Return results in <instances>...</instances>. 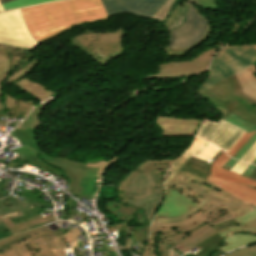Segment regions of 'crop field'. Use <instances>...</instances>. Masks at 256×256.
Instances as JSON below:
<instances>
[{
    "instance_id": "obj_1",
    "label": "crop field",
    "mask_w": 256,
    "mask_h": 256,
    "mask_svg": "<svg viewBox=\"0 0 256 256\" xmlns=\"http://www.w3.org/2000/svg\"><path fill=\"white\" fill-rule=\"evenodd\" d=\"M19 10L29 31L39 42L76 25L107 19L100 0H64Z\"/></svg>"
},
{
    "instance_id": "obj_2",
    "label": "crop field",
    "mask_w": 256,
    "mask_h": 256,
    "mask_svg": "<svg viewBox=\"0 0 256 256\" xmlns=\"http://www.w3.org/2000/svg\"><path fill=\"white\" fill-rule=\"evenodd\" d=\"M80 235L74 229L57 237L43 226L0 241V256H66L62 249L72 246Z\"/></svg>"
},
{
    "instance_id": "obj_3",
    "label": "crop field",
    "mask_w": 256,
    "mask_h": 256,
    "mask_svg": "<svg viewBox=\"0 0 256 256\" xmlns=\"http://www.w3.org/2000/svg\"><path fill=\"white\" fill-rule=\"evenodd\" d=\"M241 90L242 88L234 75L223 79L199 96L207 97L223 116L232 112L243 120L256 125V104L241 95L238 92Z\"/></svg>"
},
{
    "instance_id": "obj_4",
    "label": "crop field",
    "mask_w": 256,
    "mask_h": 256,
    "mask_svg": "<svg viewBox=\"0 0 256 256\" xmlns=\"http://www.w3.org/2000/svg\"><path fill=\"white\" fill-rule=\"evenodd\" d=\"M256 61V45L225 47L215 55L205 82L197 92L201 94L225 77L234 75Z\"/></svg>"
},
{
    "instance_id": "obj_5",
    "label": "crop field",
    "mask_w": 256,
    "mask_h": 256,
    "mask_svg": "<svg viewBox=\"0 0 256 256\" xmlns=\"http://www.w3.org/2000/svg\"><path fill=\"white\" fill-rule=\"evenodd\" d=\"M234 218L237 226L219 231L221 237L237 232H248L256 230V207L248 205L236 213H232L214 222L207 223L187 235L172 238V242L181 253L191 250L196 244L213 235L215 230L211 225Z\"/></svg>"
},
{
    "instance_id": "obj_6",
    "label": "crop field",
    "mask_w": 256,
    "mask_h": 256,
    "mask_svg": "<svg viewBox=\"0 0 256 256\" xmlns=\"http://www.w3.org/2000/svg\"><path fill=\"white\" fill-rule=\"evenodd\" d=\"M123 29L110 33H95L89 29L68 40L78 51L103 66L109 59L125 53L122 47Z\"/></svg>"
},
{
    "instance_id": "obj_7",
    "label": "crop field",
    "mask_w": 256,
    "mask_h": 256,
    "mask_svg": "<svg viewBox=\"0 0 256 256\" xmlns=\"http://www.w3.org/2000/svg\"><path fill=\"white\" fill-rule=\"evenodd\" d=\"M163 175L137 174L129 184L125 196V204L144 208L146 219L151 223L152 217L164 197Z\"/></svg>"
},
{
    "instance_id": "obj_8",
    "label": "crop field",
    "mask_w": 256,
    "mask_h": 256,
    "mask_svg": "<svg viewBox=\"0 0 256 256\" xmlns=\"http://www.w3.org/2000/svg\"><path fill=\"white\" fill-rule=\"evenodd\" d=\"M207 185L215 188L219 192L215 195L197 187L196 185L185 182L181 179H177L176 183L173 184L176 188H178L183 193L187 194L191 198L201 201L203 198H206L210 200L202 209L197 211L193 216L188 217V220L176 223V224H155L153 223L152 227H170V226H178V225H184L189 224L192 222H195L204 216L208 215L210 212H212L216 207L219 205L222 207L227 208V210L232 213L240 210L242 207L248 205L244 204L243 202L239 201L238 199L228 195L224 191L220 190L213 184L209 183L208 181H204Z\"/></svg>"
},
{
    "instance_id": "obj_9",
    "label": "crop field",
    "mask_w": 256,
    "mask_h": 256,
    "mask_svg": "<svg viewBox=\"0 0 256 256\" xmlns=\"http://www.w3.org/2000/svg\"><path fill=\"white\" fill-rule=\"evenodd\" d=\"M230 158L223 152L213 163L206 180L241 201L256 205V181L221 168Z\"/></svg>"
},
{
    "instance_id": "obj_10",
    "label": "crop field",
    "mask_w": 256,
    "mask_h": 256,
    "mask_svg": "<svg viewBox=\"0 0 256 256\" xmlns=\"http://www.w3.org/2000/svg\"><path fill=\"white\" fill-rule=\"evenodd\" d=\"M208 30V22L200 17L197 10L188 4L183 24L170 31L171 42L167 47L171 49H185L198 43Z\"/></svg>"
},
{
    "instance_id": "obj_11",
    "label": "crop field",
    "mask_w": 256,
    "mask_h": 256,
    "mask_svg": "<svg viewBox=\"0 0 256 256\" xmlns=\"http://www.w3.org/2000/svg\"><path fill=\"white\" fill-rule=\"evenodd\" d=\"M0 44L33 49L39 43L31 38L18 10L0 14Z\"/></svg>"
},
{
    "instance_id": "obj_12",
    "label": "crop field",
    "mask_w": 256,
    "mask_h": 256,
    "mask_svg": "<svg viewBox=\"0 0 256 256\" xmlns=\"http://www.w3.org/2000/svg\"><path fill=\"white\" fill-rule=\"evenodd\" d=\"M217 50L218 48L210 47L189 61L156 65L159 72L146 76V78L185 77L200 74L206 70L213 54Z\"/></svg>"
},
{
    "instance_id": "obj_13",
    "label": "crop field",
    "mask_w": 256,
    "mask_h": 256,
    "mask_svg": "<svg viewBox=\"0 0 256 256\" xmlns=\"http://www.w3.org/2000/svg\"><path fill=\"white\" fill-rule=\"evenodd\" d=\"M227 214H229V212L225 208H222L219 206L208 216L189 225L171 227V228H152L151 231L160 232L159 239L157 242L158 256H178L179 254L174 251L173 249L174 247L170 238L179 236L182 234H186L207 222L214 221Z\"/></svg>"
},
{
    "instance_id": "obj_14",
    "label": "crop field",
    "mask_w": 256,
    "mask_h": 256,
    "mask_svg": "<svg viewBox=\"0 0 256 256\" xmlns=\"http://www.w3.org/2000/svg\"><path fill=\"white\" fill-rule=\"evenodd\" d=\"M167 1L168 0H101L108 16L129 13L148 19Z\"/></svg>"
},
{
    "instance_id": "obj_15",
    "label": "crop field",
    "mask_w": 256,
    "mask_h": 256,
    "mask_svg": "<svg viewBox=\"0 0 256 256\" xmlns=\"http://www.w3.org/2000/svg\"><path fill=\"white\" fill-rule=\"evenodd\" d=\"M244 133L245 131L222 120L218 123L205 120L196 137L213 142L222 147L226 152Z\"/></svg>"
},
{
    "instance_id": "obj_16",
    "label": "crop field",
    "mask_w": 256,
    "mask_h": 256,
    "mask_svg": "<svg viewBox=\"0 0 256 256\" xmlns=\"http://www.w3.org/2000/svg\"><path fill=\"white\" fill-rule=\"evenodd\" d=\"M37 60L38 59L33 57L31 53H28V55L24 57L19 65L12 71L15 74H13L12 76H8L3 81L19 87L24 92L30 94L41 102L42 100L53 94V92L37 82L34 83L24 78L26 72L34 67Z\"/></svg>"
},
{
    "instance_id": "obj_17",
    "label": "crop field",
    "mask_w": 256,
    "mask_h": 256,
    "mask_svg": "<svg viewBox=\"0 0 256 256\" xmlns=\"http://www.w3.org/2000/svg\"><path fill=\"white\" fill-rule=\"evenodd\" d=\"M40 157L44 162L60 169L64 173L67 180L71 183L69 192L74 195L77 193L80 194L81 192V188L77 187L78 181L82 177L95 176L98 169L86 167V163L75 162L70 159L54 158L44 153Z\"/></svg>"
},
{
    "instance_id": "obj_18",
    "label": "crop field",
    "mask_w": 256,
    "mask_h": 256,
    "mask_svg": "<svg viewBox=\"0 0 256 256\" xmlns=\"http://www.w3.org/2000/svg\"><path fill=\"white\" fill-rule=\"evenodd\" d=\"M202 120L176 119L157 117L156 124L162 131V136L176 137L191 135L194 136Z\"/></svg>"
},
{
    "instance_id": "obj_19",
    "label": "crop field",
    "mask_w": 256,
    "mask_h": 256,
    "mask_svg": "<svg viewBox=\"0 0 256 256\" xmlns=\"http://www.w3.org/2000/svg\"><path fill=\"white\" fill-rule=\"evenodd\" d=\"M174 160L170 159H163V160H146L142 162L140 165L136 166L135 170L129 172L126 177L122 180L120 187L118 189V200L119 202L123 203L126 200V197H124L125 190L127 188V185L131 181V179L138 173V172H144V173H160L164 174L165 170L169 167V165Z\"/></svg>"
},
{
    "instance_id": "obj_20",
    "label": "crop field",
    "mask_w": 256,
    "mask_h": 256,
    "mask_svg": "<svg viewBox=\"0 0 256 256\" xmlns=\"http://www.w3.org/2000/svg\"><path fill=\"white\" fill-rule=\"evenodd\" d=\"M196 205L171 189L166 190L165 200L157 212L158 217H172L183 214Z\"/></svg>"
},
{
    "instance_id": "obj_21",
    "label": "crop field",
    "mask_w": 256,
    "mask_h": 256,
    "mask_svg": "<svg viewBox=\"0 0 256 256\" xmlns=\"http://www.w3.org/2000/svg\"><path fill=\"white\" fill-rule=\"evenodd\" d=\"M236 225V222L234 219L225 221L216 225H213V227L216 229V231L222 230L226 227L234 226ZM226 245L225 241L221 239L218 233L214 234L210 238L206 239L202 243L196 245L199 248H201V252L197 255L195 254H188L184 256H221L225 254L222 252L219 248Z\"/></svg>"
},
{
    "instance_id": "obj_22",
    "label": "crop field",
    "mask_w": 256,
    "mask_h": 256,
    "mask_svg": "<svg viewBox=\"0 0 256 256\" xmlns=\"http://www.w3.org/2000/svg\"><path fill=\"white\" fill-rule=\"evenodd\" d=\"M11 151H13L15 154L18 155L17 156L18 159L13 161L14 166L23 167L24 164H30V165L39 167L43 170H46V171H48L52 174L60 175V176L65 177L63 175V173L61 171H59L58 169H56V168H54L50 165L45 164L41 160V158L38 156V154L30 148L22 146L20 148L13 149Z\"/></svg>"
},
{
    "instance_id": "obj_23",
    "label": "crop field",
    "mask_w": 256,
    "mask_h": 256,
    "mask_svg": "<svg viewBox=\"0 0 256 256\" xmlns=\"http://www.w3.org/2000/svg\"><path fill=\"white\" fill-rule=\"evenodd\" d=\"M31 207L33 206L10 196L0 200V239L11 235L10 231L6 228L1 219L16 215V213L25 211Z\"/></svg>"
},
{
    "instance_id": "obj_24",
    "label": "crop field",
    "mask_w": 256,
    "mask_h": 256,
    "mask_svg": "<svg viewBox=\"0 0 256 256\" xmlns=\"http://www.w3.org/2000/svg\"><path fill=\"white\" fill-rule=\"evenodd\" d=\"M106 210H108L110 213L116 216L118 220H123L120 224H113L111 225V228H113L115 231L121 228L122 226H127V223L136 217L132 216L136 210V208L129 207L120 203H117L115 201L109 202L106 205Z\"/></svg>"
},
{
    "instance_id": "obj_25",
    "label": "crop field",
    "mask_w": 256,
    "mask_h": 256,
    "mask_svg": "<svg viewBox=\"0 0 256 256\" xmlns=\"http://www.w3.org/2000/svg\"><path fill=\"white\" fill-rule=\"evenodd\" d=\"M186 150L192 152V156L208 162L220 148L207 141L195 138Z\"/></svg>"
},
{
    "instance_id": "obj_26",
    "label": "crop field",
    "mask_w": 256,
    "mask_h": 256,
    "mask_svg": "<svg viewBox=\"0 0 256 256\" xmlns=\"http://www.w3.org/2000/svg\"><path fill=\"white\" fill-rule=\"evenodd\" d=\"M223 120L239 127L242 128L248 132H252L253 130L256 131V126L253 124H250L248 122H245L243 120H241L240 118H238L237 116H235L234 114H229L227 116H225L224 118H222ZM256 141V134L250 138L243 146L242 148L233 156V158H237V159H241L242 156L248 151V149L255 143ZM253 164H256V159L252 162Z\"/></svg>"
},
{
    "instance_id": "obj_27",
    "label": "crop field",
    "mask_w": 256,
    "mask_h": 256,
    "mask_svg": "<svg viewBox=\"0 0 256 256\" xmlns=\"http://www.w3.org/2000/svg\"><path fill=\"white\" fill-rule=\"evenodd\" d=\"M223 151H219L211 160L210 163H206L203 161H200L192 156L185 162V164L181 167V171L189 172L192 174H195L197 176L203 177L206 179V177L209 174V169L211 163L222 153Z\"/></svg>"
},
{
    "instance_id": "obj_28",
    "label": "crop field",
    "mask_w": 256,
    "mask_h": 256,
    "mask_svg": "<svg viewBox=\"0 0 256 256\" xmlns=\"http://www.w3.org/2000/svg\"><path fill=\"white\" fill-rule=\"evenodd\" d=\"M149 229L150 225H140L131 228L122 227L118 230V235H126V245L128 248L131 245L130 240L132 242L139 241L140 246H142L147 237Z\"/></svg>"
},
{
    "instance_id": "obj_29",
    "label": "crop field",
    "mask_w": 256,
    "mask_h": 256,
    "mask_svg": "<svg viewBox=\"0 0 256 256\" xmlns=\"http://www.w3.org/2000/svg\"><path fill=\"white\" fill-rule=\"evenodd\" d=\"M223 239L226 241L228 245L221 248V250L227 253L236 248L243 247L256 242V235L250 233H237L235 235L223 237Z\"/></svg>"
},
{
    "instance_id": "obj_30",
    "label": "crop field",
    "mask_w": 256,
    "mask_h": 256,
    "mask_svg": "<svg viewBox=\"0 0 256 256\" xmlns=\"http://www.w3.org/2000/svg\"><path fill=\"white\" fill-rule=\"evenodd\" d=\"M8 118H15L18 114L26 117L34 105L29 101L27 103L15 100L10 96L4 94Z\"/></svg>"
},
{
    "instance_id": "obj_31",
    "label": "crop field",
    "mask_w": 256,
    "mask_h": 256,
    "mask_svg": "<svg viewBox=\"0 0 256 256\" xmlns=\"http://www.w3.org/2000/svg\"><path fill=\"white\" fill-rule=\"evenodd\" d=\"M22 215H23V213L21 212V213H18V215H16V216L3 219L4 224L7 226V228L11 231L12 234H15V233L20 232V231L28 230V229H30L29 227L36 226L38 224H44L46 222H50V221H53V220L56 221L54 216L51 215V216L31 220V221H28V222H25V223L14 226L10 219H12L14 217H20Z\"/></svg>"
},
{
    "instance_id": "obj_32",
    "label": "crop field",
    "mask_w": 256,
    "mask_h": 256,
    "mask_svg": "<svg viewBox=\"0 0 256 256\" xmlns=\"http://www.w3.org/2000/svg\"><path fill=\"white\" fill-rule=\"evenodd\" d=\"M236 76L244 90L240 93L256 103V80L246 70L236 74Z\"/></svg>"
},
{
    "instance_id": "obj_33",
    "label": "crop field",
    "mask_w": 256,
    "mask_h": 256,
    "mask_svg": "<svg viewBox=\"0 0 256 256\" xmlns=\"http://www.w3.org/2000/svg\"><path fill=\"white\" fill-rule=\"evenodd\" d=\"M36 129L27 128L26 130L15 129L9 135L16 137L23 145L33 148L38 154L43 153L37 145L35 138Z\"/></svg>"
},
{
    "instance_id": "obj_34",
    "label": "crop field",
    "mask_w": 256,
    "mask_h": 256,
    "mask_svg": "<svg viewBox=\"0 0 256 256\" xmlns=\"http://www.w3.org/2000/svg\"><path fill=\"white\" fill-rule=\"evenodd\" d=\"M21 59L10 57L7 50H0V97L1 94V81L7 77L9 71H12Z\"/></svg>"
},
{
    "instance_id": "obj_35",
    "label": "crop field",
    "mask_w": 256,
    "mask_h": 256,
    "mask_svg": "<svg viewBox=\"0 0 256 256\" xmlns=\"http://www.w3.org/2000/svg\"><path fill=\"white\" fill-rule=\"evenodd\" d=\"M181 178L185 181H190L196 185H198L199 187L215 194L217 193L218 191H216L215 189L207 186L206 184L202 183L204 181V179L200 178V177H197L195 175H192V174H189V173H185V172H180L178 171V173L176 174V176L172 179V181L167 185L165 186L166 188H168L177 178Z\"/></svg>"
},
{
    "instance_id": "obj_36",
    "label": "crop field",
    "mask_w": 256,
    "mask_h": 256,
    "mask_svg": "<svg viewBox=\"0 0 256 256\" xmlns=\"http://www.w3.org/2000/svg\"><path fill=\"white\" fill-rule=\"evenodd\" d=\"M46 104L47 103L37 105L30 115L21 124H19L17 128L26 129L27 127H32L37 129V127L40 125L38 116Z\"/></svg>"
},
{
    "instance_id": "obj_37",
    "label": "crop field",
    "mask_w": 256,
    "mask_h": 256,
    "mask_svg": "<svg viewBox=\"0 0 256 256\" xmlns=\"http://www.w3.org/2000/svg\"><path fill=\"white\" fill-rule=\"evenodd\" d=\"M52 1H58V0H15L9 3L2 4V7H3V10L6 11L14 8L38 5V4L48 3Z\"/></svg>"
},
{
    "instance_id": "obj_38",
    "label": "crop field",
    "mask_w": 256,
    "mask_h": 256,
    "mask_svg": "<svg viewBox=\"0 0 256 256\" xmlns=\"http://www.w3.org/2000/svg\"><path fill=\"white\" fill-rule=\"evenodd\" d=\"M207 202H208V200L203 199L198 204L197 207H195L191 211H189L186 214H183V215H181L179 217H173V218H157V217H155L154 222H156V223H176V222H180V221L186 220V217L194 214L197 210H199L201 207H203Z\"/></svg>"
},
{
    "instance_id": "obj_39",
    "label": "crop field",
    "mask_w": 256,
    "mask_h": 256,
    "mask_svg": "<svg viewBox=\"0 0 256 256\" xmlns=\"http://www.w3.org/2000/svg\"><path fill=\"white\" fill-rule=\"evenodd\" d=\"M118 157H113L111 160L105 162L103 159H94V160H89L87 162V166H92V167H99L98 172L96 174V177H103L105 171L107 168L114 162H116Z\"/></svg>"
},
{
    "instance_id": "obj_40",
    "label": "crop field",
    "mask_w": 256,
    "mask_h": 256,
    "mask_svg": "<svg viewBox=\"0 0 256 256\" xmlns=\"http://www.w3.org/2000/svg\"><path fill=\"white\" fill-rule=\"evenodd\" d=\"M190 4H192V3H190ZM193 5V4H192ZM194 7H195V5H193ZM196 8V7H195ZM197 9V8H196ZM198 10V12H199V14L201 15V16H203L201 13H200V10L199 9H197ZM204 17V16H203ZM205 18V17H204ZM206 19V18H205ZM208 22H209V30H208V32H207V35L205 36V38L204 39H202L198 44H200L203 40H205L207 37H208V35L210 34V32H212V29H213V27H212V24H211V22L208 20ZM197 44V45H198ZM197 45H195V46H197ZM195 46H193V47H191V48H188V49H185V50H170L169 48H167V47H162V49H163V52L164 53H166V54H168V55H171V56H173V57H178V56H183V55H185V54H187L192 48H194Z\"/></svg>"
},
{
    "instance_id": "obj_41",
    "label": "crop field",
    "mask_w": 256,
    "mask_h": 256,
    "mask_svg": "<svg viewBox=\"0 0 256 256\" xmlns=\"http://www.w3.org/2000/svg\"><path fill=\"white\" fill-rule=\"evenodd\" d=\"M159 233L151 232L148 241L145 245L144 251L141 256H157L156 255V242Z\"/></svg>"
},
{
    "instance_id": "obj_42",
    "label": "crop field",
    "mask_w": 256,
    "mask_h": 256,
    "mask_svg": "<svg viewBox=\"0 0 256 256\" xmlns=\"http://www.w3.org/2000/svg\"><path fill=\"white\" fill-rule=\"evenodd\" d=\"M192 153L188 152V151H184L180 157L175 161V163L171 166L173 169V171L171 172L169 178L167 179V181L165 182V185H167L170 180L175 176V174L177 173V171L179 170V168L184 164V162L188 159V157L191 155Z\"/></svg>"
},
{
    "instance_id": "obj_43",
    "label": "crop field",
    "mask_w": 256,
    "mask_h": 256,
    "mask_svg": "<svg viewBox=\"0 0 256 256\" xmlns=\"http://www.w3.org/2000/svg\"><path fill=\"white\" fill-rule=\"evenodd\" d=\"M93 181H94V177L82 178L78 185L82 187V192H81V195L78 194L77 196L91 195Z\"/></svg>"
},
{
    "instance_id": "obj_44",
    "label": "crop field",
    "mask_w": 256,
    "mask_h": 256,
    "mask_svg": "<svg viewBox=\"0 0 256 256\" xmlns=\"http://www.w3.org/2000/svg\"><path fill=\"white\" fill-rule=\"evenodd\" d=\"M255 131H253L251 134L245 133L228 151L227 154L229 156H233L240 148L241 146L251 137L253 136Z\"/></svg>"
},
{
    "instance_id": "obj_45",
    "label": "crop field",
    "mask_w": 256,
    "mask_h": 256,
    "mask_svg": "<svg viewBox=\"0 0 256 256\" xmlns=\"http://www.w3.org/2000/svg\"><path fill=\"white\" fill-rule=\"evenodd\" d=\"M0 49H7L10 51L11 56L17 57V58H23L27 53L30 51V49H24L19 47H13V46H5L0 45Z\"/></svg>"
},
{
    "instance_id": "obj_46",
    "label": "crop field",
    "mask_w": 256,
    "mask_h": 256,
    "mask_svg": "<svg viewBox=\"0 0 256 256\" xmlns=\"http://www.w3.org/2000/svg\"><path fill=\"white\" fill-rule=\"evenodd\" d=\"M182 4H183V2L179 1V2L177 3V5L175 6V8H174V9H171V11L169 12L168 16H167L166 19L164 20V22L161 23V25L163 26V28H165V27L171 25V24L174 22V20H175V18H176V16H177V13H178L180 7L182 6Z\"/></svg>"
},
{
    "instance_id": "obj_47",
    "label": "crop field",
    "mask_w": 256,
    "mask_h": 256,
    "mask_svg": "<svg viewBox=\"0 0 256 256\" xmlns=\"http://www.w3.org/2000/svg\"><path fill=\"white\" fill-rule=\"evenodd\" d=\"M174 0H169L153 17H151L150 19L153 20H159V21H163L166 17V15L168 14V12L170 11V7L173 4Z\"/></svg>"
},
{
    "instance_id": "obj_48",
    "label": "crop field",
    "mask_w": 256,
    "mask_h": 256,
    "mask_svg": "<svg viewBox=\"0 0 256 256\" xmlns=\"http://www.w3.org/2000/svg\"><path fill=\"white\" fill-rule=\"evenodd\" d=\"M197 4L201 5L205 10L216 9L215 0H194Z\"/></svg>"
},
{
    "instance_id": "obj_49",
    "label": "crop field",
    "mask_w": 256,
    "mask_h": 256,
    "mask_svg": "<svg viewBox=\"0 0 256 256\" xmlns=\"http://www.w3.org/2000/svg\"><path fill=\"white\" fill-rule=\"evenodd\" d=\"M256 158V143L249 149V151L243 156L242 161L252 162Z\"/></svg>"
},
{
    "instance_id": "obj_50",
    "label": "crop field",
    "mask_w": 256,
    "mask_h": 256,
    "mask_svg": "<svg viewBox=\"0 0 256 256\" xmlns=\"http://www.w3.org/2000/svg\"><path fill=\"white\" fill-rule=\"evenodd\" d=\"M254 250H256V245H252V246H249V247H246L243 249H239V250L231 252L225 256H239L241 254H244V253L250 252V251H254Z\"/></svg>"
},
{
    "instance_id": "obj_51",
    "label": "crop field",
    "mask_w": 256,
    "mask_h": 256,
    "mask_svg": "<svg viewBox=\"0 0 256 256\" xmlns=\"http://www.w3.org/2000/svg\"><path fill=\"white\" fill-rule=\"evenodd\" d=\"M248 164H245L243 162H238L232 169L231 171L237 173V174H241L246 168H247Z\"/></svg>"
},
{
    "instance_id": "obj_52",
    "label": "crop field",
    "mask_w": 256,
    "mask_h": 256,
    "mask_svg": "<svg viewBox=\"0 0 256 256\" xmlns=\"http://www.w3.org/2000/svg\"><path fill=\"white\" fill-rule=\"evenodd\" d=\"M254 168L255 166L249 165V167L241 175L248 178V176L250 175Z\"/></svg>"
},
{
    "instance_id": "obj_53",
    "label": "crop field",
    "mask_w": 256,
    "mask_h": 256,
    "mask_svg": "<svg viewBox=\"0 0 256 256\" xmlns=\"http://www.w3.org/2000/svg\"><path fill=\"white\" fill-rule=\"evenodd\" d=\"M236 163L237 161L231 159L227 164L223 166V168L230 170Z\"/></svg>"
},
{
    "instance_id": "obj_54",
    "label": "crop field",
    "mask_w": 256,
    "mask_h": 256,
    "mask_svg": "<svg viewBox=\"0 0 256 256\" xmlns=\"http://www.w3.org/2000/svg\"><path fill=\"white\" fill-rule=\"evenodd\" d=\"M169 188L175 190L176 192H178L179 194H181V195L184 196L185 198H187V199H189L190 201L194 202L196 205L199 203V202H197V201L191 199L190 197L186 196L185 194H183L182 192H180L178 189H176V188H174V187H171V186H170Z\"/></svg>"
},
{
    "instance_id": "obj_55",
    "label": "crop field",
    "mask_w": 256,
    "mask_h": 256,
    "mask_svg": "<svg viewBox=\"0 0 256 256\" xmlns=\"http://www.w3.org/2000/svg\"><path fill=\"white\" fill-rule=\"evenodd\" d=\"M249 179L256 180V168L254 169V171L252 172V174L249 176Z\"/></svg>"
},
{
    "instance_id": "obj_56",
    "label": "crop field",
    "mask_w": 256,
    "mask_h": 256,
    "mask_svg": "<svg viewBox=\"0 0 256 256\" xmlns=\"http://www.w3.org/2000/svg\"><path fill=\"white\" fill-rule=\"evenodd\" d=\"M242 256H256V251L250 252V253H246V254H244Z\"/></svg>"
},
{
    "instance_id": "obj_57",
    "label": "crop field",
    "mask_w": 256,
    "mask_h": 256,
    "mask_svg": "<svg viewBox=\"0 0 256 256\" xmlns=\"http://www.w3.org/2000/svg\"><path fill=\"white\" fill-rule=\"evenodd\" d=\"M103 256H115L113 252L104 253Z\"/></svg>"
},
{
    "instance_id": "obj_58",
    "label": "crop field",
    "mask_w": 256,
    "mask_h": 256,
    "mask_svg": "<svg viewBox=\"0 0 256 256\" xmlns=\"http://www.w3.org/2000/svg\"><path fill=\"white\" fill-rule=\"evenodd\" d=\"M171 170H172V169H171V168H169V169H168V171L166 172L165 180L167 179V177H168L169 173L171 172Z\"/></svg>"
},
{
    "instance_id": "obj_59",
    "label": "crop field",
    "mask_w": 256,
    "mask_h": 256,
    "mask_svg": "<svg viewBox=\"0 0 256 256\" xmlns=\"http://www.w3.org/2000/svg\"><path fill=\"white\" fill-rule=\"evenodd\" d=\"M248 70L251 71L252 73L256 72V69L253 66L251 68H249Z\"/></svg>"
},
{
    "instance_id": "obj_60",
    "label": "crop field",
    "mask_w": 256,
    "mask_h": 256,
    "mask_svg": "<svg viewBox=\"0 0 256 256\" xmlns=\"http://www.w3.org/2000/svg\"><path fill=\"white\" fill-rule=\"evenodd\" d=\"M9 1H12V0H0V4L5 3V2H9Z\"/></svg>"
},
{
    "instance_id": "obj_61",
    "label": "crop field",
    "mask_w": 256,
    "mask_h": 256,
    "mask_svg": "<svg viewBox=\"0 0 256 256\" xmlns=\"http://www.w3.org/2000/svg\"><path fill=\"white\" fill-rule=\"evenodd\" d=\"M5 107H4V105H3V103H1V101H0V110L1 109H4Z\"/></svg>"
},
{
    "instance_id": "obj_62",
    "label": "crop field",
    "mask_w": 256,
    "mask_h": 256,
    "mask_svg": "<svg viewBox=\"0 0 256 256\" xmlns=\"http://www.w3.org/2000/svg\"><path fill=\"white\" fill-rule=\"evenodd\" d=\"M5 114V109L0 111V115H4Z\"/></svg>"
},
{
    "instance_id": "obj_63",
    "label": "crop field",
    "mask_w": 256,
    "mask_h": 256,
    "mask_svg": "<svg viewBox=\"0 0 256 256\" xmlns=\"http://www.w3.org/2000/svg\"><path fill=\"white\" fill-rule=\"evenodd\" d=\"M106 227H107V229H108L109 232L113 231V230L109 227V225H106Z\"/></svg>"
},
{
    "instance_id": "obj_64",
    "label": "crop field",
    "mask_w": 256,
    "mask_h": 256,
    "mask_svg": "<svg viewBox=\"0 0 256 256\" xmlns=\"http://www.w3.org/2000/svg\"><path fill=\"white\" fill-rule=\"evenodd\" d=\"M76 246H79L78 242L76 244H74V247H76Z\"/></svg>"
},
{
    "instance_id": "obj_65",
    "label": "crop field",
    "mask_w": 256,
    "mask_h": 256,
    "mask_svg": "<svg viewBox=\"0 0 256 256\" xmlns=\"http://www.w3.org/2000/svg\"><path fill=\"white\" fill-rule=\"evenodd\" d=\"M251 233H254V234H256V231H253V232H251Z\"/></svg>"
},
{
    "instance_id": "obj_66",
    "label": "crop field",
    "mask_w": 256,
    "mask_h": 256,
    "mask_svg": "<svg viewBox=\"0 0 256 256\" xmlns=\"http://www.w3.org/2000/svg\"><path fill=\"white\" fill-rule=\"evenodd\" d=\"M0 12H2V9H1V7H0Z\"/></svg>"
}]
</instances>
